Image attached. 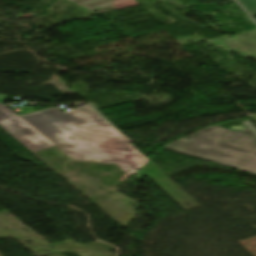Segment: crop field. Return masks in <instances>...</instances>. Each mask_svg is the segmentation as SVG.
<instances>
[{"label": "crop field", "instance_id": "1", "mask_svg": "<svg viewBox=\"0 0 256 256\" xmlns=\"http://www.w3.org/2000/svg\"><path fill=\"white\" fill-rule=\"evenodd\" d=\"M73 159L116 163L128 176L150 160L89 105L22 115Z\"/></svg>", "mask_w": 256, "mask_h": 256}, {"label": "crop field", "instance_id": "2", "mask_svg": "<svg viewBox=\"0 0 256 256\" xmlns=\"http://www.w3.org/2000/svg\"><path fill=\"white\" fill-rule=\"evenodd\" d=\"M207 129L213 133L204 132ZM165 149L256 173V137L217 125L173 142Z\"/></svg>", "mask_w": 256, "mask_h": 256}, {"label": "crop field", "instance_id": "3", "mask_svg": "<svg viewBox=\"0 0 256 256\" xmlns=\"http://www.w3.org/2000/svg\"><path fill=\"white\" fill-rule=\"evenodd\" d=\"M0 126L31 151L54 146L3 104H0Z\"/></svg>", "mask_w": 256, "mask_h": 256}, {"label": "crop field", "instance_id": "4", "mask_svg": "<svg viewBox=\"0 0 256 256\" xmlns=\"http://www.w3.org/2000/svg\"><path fill=\"white\" fill-rule=\"evenodd\" d=\"M239 3H243L248 12L253 15L256 14V0H238Z\"/></svg>", "mask_w": 256, "mask_h": 256}, {"label": "crop field", "instance_id": "5", "mask_svg": "<svg viewBox=\"0 0 256 256\" xmlns=\"http://www.w3.org/2000/svg\"><path fill=\"white\" fill-rule=\"evenodd\" d=\"M243 124L246 125L249 129L239 131V132H243V133H247V134L256 136V127L250 121L244 122Z\"/></svg>", "mask_w": 256, "mask_h": 256}, {"label": "crop field", "instance_id": "6", "mask_svg": "<svg viewBox=\"0 0 256 256\" xmlns=\"http://www.w3.org/2000/svg\"><path fill=\"white\" fill-rule=\"evenodd\" d=\"M6 98H7L6 95H1V94H0V102H1V103H3Z\"/></svg>", "mask_w": 256, "mask_h": 256}, {"label": "crop field", "instance_id": "7", "mask_svg": "<svg viewBox=\"0 0 256 256\" xmlns=\"http://www.w3.org/2000/svg\"><path fill=\"white\" fill-rule=\"evenodd\" d=\"M206 132H210V133H212V132H211V131H209V130H208V131H206Z\"/></svg>", "mask_w": 256, "mask_h": 256}]
</instances>
